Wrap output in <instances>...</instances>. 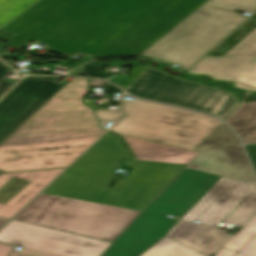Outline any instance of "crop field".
<instances>
[{
	"mask_svg": "<svg viewBox=\"0 0 256 256\" xmlns=\"http://www.w3.org/2000/svg\"><path fill=\"white\" fill-rule=\"evenodd\" d=\"M128 154L122 139L107 132L14 220L112 242L186 167L139 161L108 188Z\"/></svg>",
	"mask_w": 256,
	"mask_h": 256,
	"instance_id": "obj_1",
	"label": "crop field"
},
{
	"mask_svg": "<svg viewBox=\"0 0 256 256\" xmlns=\"http://www.w3.org/2000/svg\"><path fill=\"white\" fill-rule=\"evenodd\" d=\"M255 211L256 184L185 168L101 256H140L164 236L211 256L230 235L164 216L218 227L221 222L244 224Z\"/></svg>",
	"mask_w": 256,
	"mask_h": 256,
	"instance_id": "obj_2",
	"label": "crop field"
},
{
	"mask_svg": "<svg viewBox=\"0 0 256 256\" xmlns=\"http://www.w3.org/2000/svg\"><path fill=\"white\" fill-rule=\"evenodd\" d=\"M156 0H41L3 30L17 33L7 44L20 50L41 42L72 54L118 18L132 20Z\"/></svg>",
	"mask_w": 256,
	"mask_h": 256,
	"instance_id": "obj_3",
	"label": "crop field"
},
{
	"mask_svg": "<svg viewBox=\"0 0 256 256\" xmlns=\"http://www.w3.org/2000/svg\"><path fill=\"white\" fill-rule=\"evenodd\" d=\"M87 79H73L0 145V159L84 151L106 130L82 104Z\"/></svg>",
	"mask_w": 256,
	"mask_h": 256,
	"instance_id": "obj_4",
	"label": "crop field"
},
{
	"mask_svg": "<svg viewBox=\"0 0 256 256\" xmlns=\"http://www.w3.org/2000/svg\"><path fill=\"white\" fill-rule=\"evenodd\" d=\"M121 106L125 116L111 128L113 133L190 151H194L221 123L194 112L142 100L123 99Z\"/></svg>",
	"mask_w": 256,
	"mask_h": 256,
	"instance_id": "obj_5",
	"label": "crop field"
},
{
	"mask_svg": "<svg viewBox=\"0 0 256 256\" xmlns=\"http://www.w3.org/2000/svg\"><path fill=\"white\" fill-rule=\"evenodd\" d=\"M109 81L133 96L183 106L221 120L242 100L234 91L204 86L202 80L193 82L171 76L161 68L148 65L132 67L129 78L116 76Z\"/></svg>",
	"mask_w": 256,
	"mask_h": 256,
	"instance_id": "obj_6",
	"label": "crop field"
},
{
	"mask_svg": "<svg viewBox=\"0 0 256 256\" xmlns=\"http://www.w3.org/2000/svg\"><path fill=\"white\" fill-rule=\"evenodd\" d=\"M247 16L203 5L144 53L190 67Z\"/></svg>",
	"mask_w": 256,
	"mask_h": 256,
	"instance_id": "obj_7",
	"label": "crop field"
},
{
	"mask_svg": "<svg viewBox=\"0 0 256 256\" xmlns=\"http://www.w3.org/2000/svg\"><path fill=\"white\" fill-rule=\"evenodd\" d=\"M206 0H161L136 21L120 20L96 40L90 54L99 57L142 52Z\"/></svg>",
	"mask_w": 256,
	"mask_h": 256,
	"instance_id": "obj_8",
	"label": "crop field"
},
{
	"mask_svg": "<svg viewBox=\"0 0 256 256\" xmlns=\"http://www.w3.org/2000/svg\"><path fill=\"white\" fill-rule=\"evenodd\" d=\"M0 241L23 247L11 256H100L111 243L11 220Z\"/></svg>",
	"mask_w": 256,
	"mask_h": 256,
	"instance_id": "obj_9",
	"label": "crop field"
},
{
	"mask_svg": "<svg viewBox=\"0 0 256 256\" xmlns=\"http://www.w3.org/2000/svg\"><path fill=\"white\" fill-rule=\"evenodd\" d=\"M199 154L188 168L256 183L235 135L220 124L195 150Z\"/></svg>",
	"mask_w": 256,
	"mask_h": 256,
	"instance_id": "obj_10",
	"label": "crop field"
},
{
	"mask_svg": "<svg viewBox=\"0 0 256 256\" xmlns=\"http://www.w3.org/2000/svg\"><path fill=\"white\" fill-rule=\"evenodd\" d=\"M61 77H26L0 101V144L65 84Z\"/></svg>",
	"mask_w": 256,
	"mask_h": 256,
	"instance_id": "obj_11",
	"label": "crop field"
},
{
	"mask_svg": "<svg viewBox=\"0 0 256 256\" xmlns=\"http://www.w3.org/2000/svg\"><path fill=\"white\" fill-rule=\"evenodd\" d=\"M63 170L0 175V217L11 219Z\"/></svg>",
	"mask_w": 256,
	"mask_h": 256,
	"instance_id": "obj_12",
	"label": "crop field"
},
{
	"mask_svg": "<svg viewBox=\"0 0 256 256\" xmlns=\"http://www.w3.org/2000/svg\"><path fill=\"white\" fill-rule=\"evenodd\" d=\"M255 62L256 58L202 59L186 75H205L214 82H233Z\"/></svg>",
	"mask_w": 256,
	"mask_h": 256,
	"instance_id": "obj_13",
	"label": "crop field"
},
{
	"mask_svg": "<svg viewBox=\"0 0 256 256\" xmlns=\"http://www.w3.org/2000/svg\"><path fill=\"white\" fill-rule=\"evenodd\" d=\"M120 135V134H118ZM136 159L187 165L198 153L124 135Z\"/></svg>",
	"mask_w": 256,
	"mask_h": 256,
	"instance_id": "obj_14",
	"label": "crop field"
},
{
	"mask_svg": "<svg viewBox=\"0 0 256 256\" xmlns=\"http://www.w3.org/2000/svg\"><path fill=\"white\" fill-rule=\"evenodd\" d=\"M81 153L0 160V171L13 172L64 167Z\"/></svg>",
	"mask_w": 256,
	"mask_h": 256,
	"instance_id": "obj_15",
	"label": "crop field"
},
{
	"mask_svg": "<svg viewBox=\"0 0 256 256\" xmlns=\"http://www.w3.org/2000/svg\"><path fill=\"white\" fill-rule=\"evenodd\" d=\"M244 143H256V104L241 103L224 121Z\"/></svg>",
	"mask_w": 256,
	"mask_h": 256,
	"instance_id": "obj_16",
	"label": "crop field"
},
{
	"mask_svg": "<svg viewBox=\"0 0 256 256\" xmlns=\"http://www.w3.org/2000/svg\"><path fill=\"white\" fill-rule=\"evenodd\" d=\"M141 256H203L169 238L164 237Z\"/></svg>",
	"mask_w": 256,
	"mask_h": 256,
	"instance_id": "obj_17",
	"label": "crop field"
},
{
	"mask_svg": "<svg viewBox=\"0 0 256 256\" xmlns=\"http://www.w3.org/2000/svg\"><path fill=\"white\" fill-rule=\"evenodd\" d=\"M40 0H0V30Z\"/></svg>",
	"mask_w": 256,
	"mask_h": 256,
	"instance_id": "obj_18",
	"label": "crop field"
},
{
	"mask_svg": "<svg viewBox=\"0 0 256 256\" xmlns=\"http://www.w3.org/2000/svg\"><path fill=\"white\" fill-rule=\"evenodd\" d=\"M224 57H256V28L231 48L224 56L204 58H224Z\"/></svg>",
	"mask_w": 256,
	"mask_h": 256,
	"instance_id": "obj_19",
	"label": "crop field"
},
{
	"mask_svg": "<svg viewBox=\"0 0 256 256\" xmlns=\"http://www.w3.org/2000/svg\"><path fill=\"white\" fill-rule=\"evenodd\" d=\"M255 233L256 215L223 247L239 251Z\"/></svg>",
	"mask_w": 256,
	"mask_h": 256,
	"instance_id": "obj_20",
	"label": "crop field"
},
{
	"mask_svg": "<svg viewBox=\"0 0 256 256\" xmlns=\"http://www.w3.org/2000/svg\"><path fill=\"white\" fill-rule=\"evenodd\" d=\"M205 4L249 13L256 10V0H209Z\"/></svg>",
	"mask_w": 256,
	"mask_h": 256,
	"instance_id": "obj_21",
	"label": "crop field"
},
{
	"mask_svg": "<svg viewBox=\"0 0 256 256\" xmlns=\"http://www.w3.org/2000/svg\"><path fill=\"white\" fill-rule=\"evenodd\" d=\"M231 85L244 90L256 91V63Z\"/></svg>",
	"mask_w": 256,
	"mask_h": 256,
	"instance_id": "obj_22",
	"label": "crop field"
},
{
	"mask_svg": "<svg viewBox=\"0 0 256 256\" xmlns=\"http://www.w3.org/2000/svg\"><path fill=\"white\" fill-rule=\"evenodd\" d=\"M159 1H160V0L156 1L152 6H154V5H155L156 3H158ZM152 6H151V7H152ZM151 7H150V8H151ZM150 8H148L147 10H149ZM147 10H146V11H147ZM146 11H145V12H146ZM145 12H143L142 14H144ZM142 14H140L138 17H140ZM138 17H136V18L133 19V20H136ZM119 20H120V19H119ZM117 21H118V20H117ZM117 21H116V22H117ZM116 22H114V23H116ZM114 23H113V24H114ZM113 24H112V25H113ZM109 27H110V26H109ZM109 27H108V28H109ZM104 31H105V30H104ZM104 31H103V32H104ZM103 32H102V33H103ZM102 33H101V34H102ZM99 35H100V34H99ZM99 35H98V36H99ZM98 36H97V37H98ZM97 37H96V38H97ZM96 38H94L90 43H88L86 46H84L82 49H80L78 52H76V53H74V54L80 55V56H84V57H87V58H91V59L95 58L96 56L89 55V52H90L91 50H93L95 47H97L99 44H101V42L94 41Z\"/></svg>",
	"mask_w": 256,
	"mask_h": 256,
	"instance_id": "obj_23",
	"label": "crop field"
},
{
	"mask_svg": "<svg viewBox=\"0 0 256 256\" xmlns=\"http://www.w3.org/2000/svg\"><path fill=\"white\" fill-rule=\"evenodd\" d=\"M13 70L7 67L2 61H0V97L13 85L14 83L2 81Z\"/></svg>",
	"mask_w": 256,
	"mask_h": 256,
	"instance_id": "obj_24",
	"label": "crop field"
},
{
	"mask_svg": "<svg viewBox=\"0 0 256 256\" xmlns=\"http://www.w3.org/2000/svg\"><path fill=\"white\" fill-rule=\"evenodd\" d=\"M95 116L98 120H112L116 121L121 117V113L118 109H106L94 111Z\"/></svg>",
	"mask_w": 256,
	"mask_h": 256,
	"instance_id": "obj_25",
	"label": "crop field"
},
{
	"mask_svg": "<svg viewBox=\"0 0 256 256\" xmlns=\"http://www.w3.org/2000/svg\"><path fill=\"white\" fill-rule=\"evenodd\" d=\"M103 67L104 66H96L90 63L87 67L83 69V71L88 75V77H98L102 79H108L111 76H113L112 74L102 73Z\"/></svg>",
	"mask_w": 256,
	"mask_h": 256,
	"instance_id": "obj_26",
	"label": "crop field"
},
{
	"mask_svg": "<svg viewBox=\"0 0 256 256\" xmlns=\"http://www.w3.org/2000/svg\"><path fill=\"white\" fill-rule=\"evenodd\" d=\"M234 256H256V234Z\"/></svg>",
	"mask_w": 256,
	"mask_h": 256,
	"instance_id": "obj_27",
	"label": "crop field"
},
{
	"mask_svg": "<svg viewBox=\"0 0 256 256\" xmlns=\"http://www.w3.org/2000/svg\"><path fill=\"white\" fill-rule=\"evenodd\" d=\"M247 153L256 169V145L245 146Z\"/></svg>",
	"mask_w": 256,
	"mask_h": 256,
	"instance_id": "obj_28",
	"label": "crop field"
},
{
	"mask_svg": "<svg viewBox=\"0 0 256 256\" xmlns=\"http://www.w3.org/2000/svg\"><path fill=\"white\" fill-rule=\"evenodd\" d=\"M236 252L221 248L214 256H233Z\"/></svg>",
	"mask_w": 256,
	"mask_h": 256,
	"instance_id": "obj_29",
	"label": "crop field"
},
{
	"mask_svg": "<svg viewBox=\"0 0 256 256\" xmlns=\"http://www.w3.org/2000/svg\"><path fill=\"white\" fill-rule=\"evenodd\" d=\"M11 249V246L0 244V256H7Z\"/></svg>",
	"mask_w": 256,
	"mask_h": 256,
	"instance_id": "obj_30",
	"label": "crop field"
},
{
	"mask_svg": "<svg viewBox=\"0 0 256 256\" xmlns=\"http://www.w3.org/2000/svg\"><path fill=\"white\" fill-rule=\"evenodd\" d=\"M104 91L122 94V92L119 88H117L111 84H108V83L106 84Z\"/></svg>",
	"mask_w": 256,
	"mask_h": 256,
	"instance_id": "obj_31",
	"label": "crop field"
},
{
	"mask_svg": "<svg viewBox=\"0 0 256 256\" xmlns=\"http://www.w3.org/2000/svg\"><path fill=\"white\" fill-rule=\"evenodd\" d=\"M131 162H132V157H131V155H128V157L122 162L123 164H122V167L120 169H122V168L127 169V167L129 166V164Z\"/></svg>",
	"mask_w": 256,
	"mask_h": 256,
	"instance_id": "obj_32",
	"label": "crop field"
},
{
	"mask_svg": "<svg viewBox=\"0 0 256 256\" xmlns=\"http://www.w3.org/2000/svg\"><path fill=\"white\" fill-rule=\"evenodd\" d=\"M7 221V219L0 218V227L4 225Z\"/></svg>",
	"mask_w": 256,
	"mask_h": 256,
	"instance_id": "obj_33",
	"label": "crop field"
},
{
	"mask_svg": "<svg viewBox=\"0 0 256 256\" xmlns=\"http://www.w3.org/2000/svg\"><path fill=\"white\" fill-rule=\"evenodd\" d=\"M137 161H134V163L132 164V166L130 167V169H133V167L136 165Z\"/></svg>",
	"mask_w": 256,
	"mask_h": 256,
	"instance_id": "obj_34",
	"label": "crop field"
},
{
	"mask_svg": "<svg viewBox=\"0 0 256 256\" xmlns=\"http://www.w3.org/2000/svg\"><path fill=\"white\" fill-rule=\"evenodd\" d=\"M1 47H2V46H1ZM1 47H0V48H1Z\"/></svg>",
	"mask_w": 256,
	"mask_h": 256,
	"instance_id": "obj_35",
	"label": "crop field"
},
{
	"mask_svg": "<svg viewBox=\"0 0 256 256\" xmlns=\"http://www.w3.org/2000/svg\"><path fill=\"white\" fill-rule=\"evenodd\" d=\"M1 173V172H0Z\"/></svg>",
	"mask_w": 256,
	"mask_h": 256,
	"instance_id": "obj_36",
	"label": "crop field"
}]
</instances>
